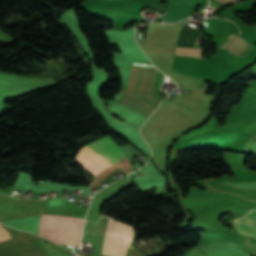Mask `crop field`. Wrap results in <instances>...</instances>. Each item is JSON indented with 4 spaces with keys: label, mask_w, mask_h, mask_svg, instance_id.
Here are the masks:
<instances>
[{
    "label": "crop field",
    "mask_w": 256,
    "mask_h": 256,
    "mask_svg": "<svg viewBox=\"0 0 256 256\" xmlns=\"http://www.w3.org/2000/svg\"><path fill=\"white\" fill-rule=\"evenodd\" d=\"M245 41L246 40L234 33L231 38L222 46V49L238 57H245L247 53L254 47Z\"/></svg>",
    "instance_id": "7"
},
{
    "label": "crop field",
    "mask_w": 256,
    "mask_h": 256,
    "mask_svg": "<svg viewBox=\"0 0 256 256\" xmlns=\"http://www.w3.org/2000/svg\"><path fill=\"white\" fill-rule=\"evenodd\" d=\"M9 235L6 230L0 225V241L9 239Z\"/></svg>",
    "instance_id": "10"
},
{
    "label": "crop field",
    "mask_w": 256,
    "mask_h": 256,
    "mask_svg": "<svg viewBox=\"0 0 256 256\" xmlns=\"http://www.w3.org/2000/svg\"><path fill=\"white\" fill-rule=\"evenodd\" d=\"M249 109H256V98L253 100V102L251 103Z\"/></svg>",
    "instance_id": "12"
},
{
    "label": "crop field",
    "mask_w": 256,
    "mask_h": 256,
    "mask_svg": "<svg viewBox=\"0 0 256 256\" xmlns=\"http://www.w3.org/2000/svg\"><path fill=\"white\" fill-rule=\"evenodd\" d=\"M132 239V227L109 218L101 254L106 256H125Z\"/></svg>",
    "instance_id": "2"
},
{
    "label": "crop field",
    "mask_w": 256,
    "mask_h": 256,
    "mask_svg": "<svg viewBox=\"0 0 256 256\" xmlns=\"http://www.w3.org/2000/svg\"><path fill=\"white\" fill-rule=\"evenodd\" d=\"M157 72L156 68L132 66L126 92L117 103L148 118L160 103L151 97Z\"/></svg>",
    "instance_id": "1"
},
{
    "label": "crop field",
    "mask_w": 256,
    "mask_h": 256,
    "mask_svg": "<svg viewBox=\"0 0 256 256\" xmlns=\"http://www.w3.org/2000/svg\"><path fill=\"white\" fill-rule=\"evenodd\" d=\"M86 146H88L90 149L98 153L112 164L127 157L125 153L120 148H118L107 136Z\"/></svg>",
    "instance_id": "4"
},
{
    "label": "crop field",
    "mask_w": 256,
    "mask_h": 256,
    "mask_svg": "<svg viewBox=\"0 0 256 256\" xmlns=\"http://www.w3.org/2000/svg\"><path fill=\"white\" fill-rule=\"evenodd\" d=\"M218 1V0H217ZM221 1H224V2H227V3H229V4H233V3H236V2H238V1H240V0H221ZM221 1H219V2H221ZM224 2H222V3H224ZM226 4V3H225ZM229 4H227V5H229Z\"/></svg>",
    "instance_id": "11"
},
{
    "label": "crop field",
    "mask_w": 256,
    "mask_h": 256,
    "mask_svg": "<svg viewBox=\"0 0 256 256\" xmlns=\"http://www.w3.org/2000/svg\"><path fill=\"white\" fill-rule=\"evenodd\" d=\"M185 256H206V255L201 250L196 248V249L191 250Z\"/></svg>",
    "instance_id": "9"
},
{
    "label": "crop field",
    "mask_w": 256,
    "mask_h": 256,
    "mask_svg": "<svg viewBox=\"0 0 256 256\" xmlns=\"http://www.w3.org/2000/svg\"><path fill=\"white\" fill-rule=\"evenodd\" d=\"M234 221L240 234L256 237V209L248 210Z\"/></svg>",
    "instance_id": "6"
},
{
    "label": "crop field",
    "mask_w": 256,
    "mask_h": 256,
    "mask_svg": "<svg viewBox=\"0 0 256 256\" xmlns=\"http://www.w3.org/2000/svg\"><path fill=\"white\" fill-rule=\"evenodd\" d=\"M198 34V29L185 25L179 35L177 46L193 47ZM175 54L201 58V49L176 47Z\"/></svg>",
    "instance_id": "5"
},
{
    "label": "crop field",
    "mask_w": 256,
    "mask_h": 256,
    "mask_svg": "<svg viewBox=\"0 0 256 256\" xmlns=\"http://www.w3.org/2000/svg\"><path fill=\"white\" fill-rule=\"evenodd\" d=\"M74 161L79 163L81 166L96 176L100 171L112 165L86 146L81 148Z\"/></svg>",
    "instance_id": "3"
},
{
    "label": "crop field",
    "mask_w": 256,
    "mask_h": 256,
    "mask_svg": "<svg viewBox=\"0 0 256 256\" xmlns=\"http://www.w3.org/2000/svg\"><path fill=\"white\" fill-rule=\"evenodd\" d=\"M234 246H236V245L231 242L199 244V248L201 250L234 247ZM210 256H249V255H210Z\"/></svg>",
    "instance_id": "8"
}]
</instances>
